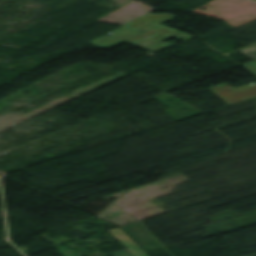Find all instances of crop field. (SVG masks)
<instances>
[{
    "mask_svg": "<svg viewBox=\"0 0 256 256\" xmlns=\"http://www.w3.org/2000/svg\"><path fill=\"white\" fill-rule=\"evenodd\" d=\"M110 232L135 256H148L135 242H133L121 229Z\"/></svg>",
    "mask_w": 256,
    "mask_h": 256,
    "instance_id": "1",
    "label": "crop field"
},
{
    "mask_svg": "<svg viewBox=\"0 0 256 256\" xmlns=\"http://www.w3.org/2000/svg\"><path fill=\"white\" fill-rule=\"evenodd\" d=\"M244 55L256 61V45L240 51Z\"/></svg>",
    "mask_w": 256,
    "mask_h": 256,
    "instance_id": "2",
    "label": "crop field"
},
{
    "mask_svg": "<svg viewBox=\"0 0 256 256\" xmlns=\"http://www.w3.org/2000/svg\"><path fill=\"white\" fill-rule=\"evenodd\" d=\"M112 256H134L128 250L112 252L110 253Z\"/></svg>",
    "mask_w": 256,
    "mask_h": 256,
    "instance_id": "3",
    "label": "crop field"
},
{
    "mask_svg": "<svg viewBox=\"0 0 256 256\" xmlns=\"http://www.w3.org/2000/svg\"><path fill=\"white\" fill-rule=\"evenodd\" d=\"M157 29H159V28H153V29H151V30H149V31H147V32H145V33H143V34H141V35H139V36H137V37H135V38H133V39L127 41L126 43H129V42H131V41H133V40H135V39H137V38H140V37H142V36H144V35H146V34H148V33L153 32V31H155V30H157Z\"/></svg>",
    "mask_w": 256,
    "mask_h": 256,
    "instance_id": "4",
    "label": "crop field"
}]
</instances>
